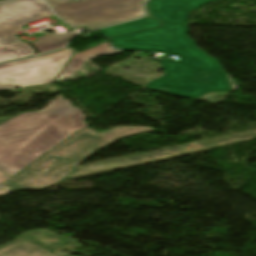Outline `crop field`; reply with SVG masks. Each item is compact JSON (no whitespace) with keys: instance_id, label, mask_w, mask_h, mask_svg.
<instances>
[{"instance_id":"obj_11","label":"crop field","mask_w":256,"mask_h":256,"mask_svg":"<svg viewBox=\"0 0 256 256\" xmlns=\"http://www.w3.org/2000/svg\"><path fill=\"white\" fill-rule=\"evenodd\" d=\"M119 52H122V51L112 50L109 47V42L106 41V42L99 44L95 47H92L88 50L80 52V53H78V55L86 60H92V59H94L98 56L104 55V54H115V53H119Z\"/></svg>"},{"instance_id":"obj_13","label":"crop field","mask_w":256,"mask_h":256,"mask_svg":"<svg viewBox=\"0 0 256 256\" xmlns=\"http://www.w3.org/2000/svg\"><path fill=\"white\" fill-rule=\"evenodd\" d=\"M7 119H8V118H7ZM4 120H6V119H1L0 122H2V121H4Z\"/></svg>"},{"instance_id":"obj_4","label":"crop field","mask_w":256,"mask_h":256,"mask_svg":"<svg viewBox=\"0 0 256 256\" xmlns=\"http://www.w3.org/2000/svg\"><path fill=\"white\" fill-rule=\"evenodd\" d=\"M46 1L59 17L71 25L96 29L143 16L142 3L145 0Z\"/></svg>"},{"instance_id":"obj_5","label":"crop field","mask_w":256,"mask_h":256,"mask_svg":"<svg viewBox=\"0 0 256 256\" xmlns=\"http://www.w3.org/2000/svg\"><path fill=\"white\" fill-rule=\"evenodd\" d=\"M52 15L41 0L0 1V62L33 55L29 44L16 38L15 33L22 31L25 23Z\"/></svg>"},{"instance_id":"obj_2","label":"crop field","mask_w":256,"mask_h":256,"mask_svg":"<svg viewBox=\"0 0 256 256\" xmlns=\"http://www.w3.org/2000/svg\"><path fill=\"white\" fill-rule=\"evenodd\" d=\"M38 113L25 112L0 124V170L13 176L77 130L88 126L80 108L56 97Z\"/></svg>"},{"instance_id":"obj_7","label":"crop field","mask_w":256,"mask_h":256,"mask_svg":"<svg viewBox=\"0 0 256 256\" xmlns=\"http://www.w3.org/2000/svg\"><path fill=\"white\" fill-rule=\"evenodd\" d=\"M213 0H150L152 17L165 22L185 23L188 12Z\"/></svg>"},{"instance_id":"obj_6","label":"crop field","mask_w":256,"mask_h":256,"mask_svg":"<svg viewBox=\"0 0 256 256\" xmlns=\"http://www.w3.org/2000/svg\"><path fill=\"white\" fill-rule=\"evenodd\" d=\"M75 49L0 65V90L54 83Z\"/></svg>"},{"instance_id":"obj_9","label":"crop field","mask_w":256,"mask_h":256,"mask_svg":"<svg viewBox=\"0 0 256 256\" xmlns=\"http://www.w3.org/2000/svg\"><path fill=\"white\" fill-rule=\"evenodd\" d=\"M75 34L77 33H70L66 35H48L37 38L38 41L31 43V45L39 54H41L63 47Z\"/></svg>"},{"instance_id":"obj_10","label":"crop field","mask_w":256,"mask_h":256,"mask_svg":"<svg viewBox=\"0 0 256 256\" xmlns=\"http://www.w3.org/2000/svg\"><path fill=\"white\" fill-rule=\"evenodd\" d=\"M160 25H161L160 22L151 20V21L136 23V24L108 30V31L101 32V33L104 36L109 37V36L133 32V31H137V30H141V29H145V28L156 27V26H160Z\"/></svg>"},{"instance_id":"obj_12","label":"crop field","mask_w":256,"mask_h":256,"mask_svg":"<svg viewBox=\"0 0 256 256\" xmlns=\"http://www.w3.org/2000/svg\"><path fill=\"white\" fill-rule=\"evenodd\" d=\"M8 178H10V177H8V176L4 175L2 172H0V184L2 182L6 181Z\"/></svg>"},{"instance_id":"obj_1","label":"crop field","mask_w":256,"mask_h":256,"mask_svg":"<svg viewBox=\"0 0 256 256\" xmlns=\"http://www.w3.org/2000/svg\"><path fill=\"white\" fill-rule=\"evenodd\" d=\"M163 24V28L109 38L114 48L180 56L179 61H159L165 74L147 84V89L190 99L209 92L232 91L217 60L197 49L189 38L186 24Z\"/></svg>"},{"instance_id":"obj_8","label":"crop field","mask_w":256,"mask_h":256,"mask_svg":"<svg viewBox=\"0 0 256 256\" xmlns=\"http://www.w3.org/2000/svg\"><path fill=\"white\" fill-rule=\"evenodd\" d=\"M0 256H58L22 238L0 249Z\"/></svg>"},{"instance_id":"obj_3","label":"crop field","mask_w":256,"mask_h":256,"mask_svg":"<svg viewBox=\"0 0 256 256\" xmlns=\"http://www.w3.org/2000/svg\"><path fill=\"white\" fill-rule=\"evenodd\" d=\"M148 132L156 131L150 127H116L99 133L86 128L73 134L9 181L35 189L44 188L61 180L97 150L118 139Z\"/></svg>"}]
</instances>
